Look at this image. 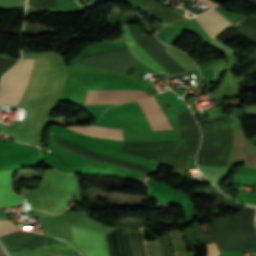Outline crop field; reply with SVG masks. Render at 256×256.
Here are the masks:
<instances>
[{"label":"crop field","mask_w":256,"mask_h":256,"mask_svg":"<svg viewBox=\"0 0 256 256\" xmlns=\"http://www.w3.org/2000/svg\"><path fill=\"white\" fill-rule=\"evenodd\" d=\"M15 170H0V206L10 207L23 205L20 196L12 192L11 177Z\"/></svg>","instance_id":"obj_5"},{"label":"crop field","mask_w":256,"mask_h":256,"mask_svg":"<svg viewBox=\"0 0 256 256\" xmlns=\"http://www.w3.org/2000/svg\"><path fill=\"white\" fill-rule=\"evenodd\" d=\"M213 38L218 35L223 29L231 26L221 15L210 9L196 17H194Z\"/></svg>","instance_id":"obj_6"},{"label":"crop field","mask_w":256,"mask_h":256,"mask_svg":"<svg viewBox=\"0 0 256 256\" xmlns=\"http://www.w3.org/2000/svg\"><path fill=\"white\" fill-rule=\"evenodd\" d=\"M0 256H6L1 248H0Z\"/></svg>","instance_id":"obj_10"},{"label":"crop field","mask_w":256,"mask_h":256,"mask_svg":"<svg viewBox=\"0 0 256 256\" xmlns=\"http://www.w3.org/2000/svg\"><path fill=\"white\" fill-rule=\"evenodd\" d=\"M71 229L74 244L87 256H107L102 232L74 227Z\"/></svg>","instance_id":"obj_3"},{"label":"crop field","mask_w":256,"mask_h":256,"mask_svg":"<svg viewBox=\"0 0 256 256\" xmlns=\"http://www.w3.org/2000/svg\"><path fill=\"white\" fill-rule=\"evenodd\" d=\"M35 60L22 59L3 77L0 105H23Z\"/></svg>","instance_id":"obj_1"},{"label":"crop field","mask_w":256,"mask_h":256,"mask_svg":"<svg viewBox=\"0 0 256 256\" xmlns=\"http://www.w3.org/2000/svg\"><path fill=\"white\" fill-rule=\"evenodd\" d=\"M19 229L10 220L0 221V234Z\"/></svg>","instance_id":"obj_9"},{"label":"crop field","mask_w":256,"mask_h":256,"mask_svg":"<svg viewBox=\"0 0 256 256\" xmlns=\"http://www.w3.org/2000/svg\"><path fill=\"white\" fill-rule=\"evenodd\" d=\"M123 31L125 40L136 58L150 67L152 70L159 74L169 75L156 61H154L142 48L141 46L132 38L131 33L129 31L128 25H124ZM185 73V72H184ZM170 76V75H169Z\"/></svg>","instance_id":"obj_7"},{"label":"crop field","mask_w":256,"mask_h":256,"mask_svg":"<svg viewBox=\"0 0 256 256\" xmlns=\"http://www.w3.org/2000/svg\"><path fill=\"white\" fill-rule=\"evenodd\" d=\"M138 104L146 115L153 130L172 129L154 96H150L144 101H139ZM67 128L74 130L78 133L91 135L99 138H113L123 140L122 129L103 128L96 127L94 125H89L85 127L67 126Z\"/></svg>","instance_id":"obj_2"},{"label":"crop field","mask_w":256,"mask_h":256,"mask_svg":"<svg viewBox=\"0 0 256 256\" xmlns=\"http://www.w3.org/2000/svg\"><path fill=\"white\" fill-rule=\"evenodd\" d=\"M244 149L245 141L240 129L232 130L229 163L237 159H242L256 166V159L245 154Z\"/></svg>","instance_id":"obj_8"},{"label":"crop field","mask_w":256,"mask_h":256,"mask_svg":"<svg viewBox=\"0 0 256 256\" xmlns=\"http://www.w3.org/2000/svg\"><path fill=\"white\" fill-rule=\"evenodd\" d=\"M146 97L144 91H88L85 104H122Z\"/></svg>","instance_id":"obj_4"}]
</instances>
